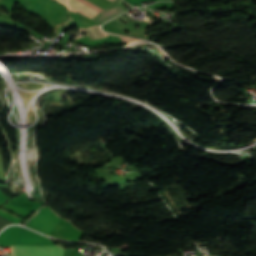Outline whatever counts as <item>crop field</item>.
Wrapping results in <instances>:
<instances>
[{"mask_svg": "<svg viewBox=\"0 0 256 256\" xmlns=\"http://www.w3.org/2000/svg\"><path fill=\"white\" fill-rule=\"evenodd\" d=\"M11 256H62L60 246H10Z\"/></svg>", "mask_w": 256, "mask_h": 256, "instance_id": "obj_1", "label": "crop field"}, {"mask_svg": "<svg viewBox=\"0 0 256 256\" xmlns=\"http://www.w3.org/2000/svg\"><path fill=\"white\" fill-rule=\"evenodd\" d=\"M123 12V9L121 8L120 5L100 14L99 18H98V23H101L119 13Z\"/></svg>", "mask_w": 256, "mask_h": 256, "instance_id": "obj_2", "label": "crop field"}, {"mask_svg": "<svg viewBox=\"0 0 256 256\" xmlns=\"http://www.w3.org/2000/svg\"><path fill=\"white\" fill-rule=\"evenodd\" d=\"M85 30H86L87 34L89 35L90 39L104 37V34L99 29V27H92V28H88V29H85Z\"/></svg>", "mask_w": 256, "mask_h": 256, "instance_id": "obj_3", "label": "crop field"}, {"mask_svg": "<svg viewBox=\"0 0 256 256\" xmlns=\"http://www.w3.org/2000/svg\"><path fill=\"white\" fill-rule=\"evenodd\" d=\"M79 1H81V2H83V3H85V4H87L88 6L94 8V9L100 11V12L103 10V9H101V8H99V7H97V6L93 5V4H91L90 2H88V1H86V0H79ZM111 1H113V0H111Z\"/></svg>", "mask_w": 256, "mask_h": 256, "instance_id": "obj_4", "label": "crop field"}, {"mask_svg": "<svg viewBox=\"0 0 256 256\" xmlns=\"http://www.w3.org/2000/svg\"><path fill=\"white\" fill-rule=\"evenodd\" d=\"M121 2H123V1L121 0V1H119V2H117V3L119 4V3H121Z\"/></svg>", "mask_w": 256, "mask_h": 256, "instance_id": "obj_5", "label": "crop field"}]
</instances>
